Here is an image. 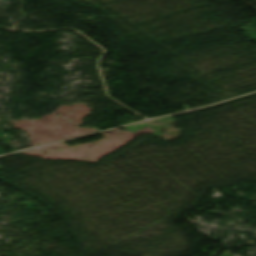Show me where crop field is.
<instances>
[{"mask_svg":"<svg viewBox=\"0 0 256 256\" xmlns=\"http://www.w3.org/2000/svg\"><path fill=\"white\" fill-rule=\"evenodd\" d=\"M6 152L5 151H3L1 148H0V155L1 154H5Z\"/></svg>","mask_w":256,"mask_h":256,"instance_id":"8a807250","label":"crop field"}]
</instances>
